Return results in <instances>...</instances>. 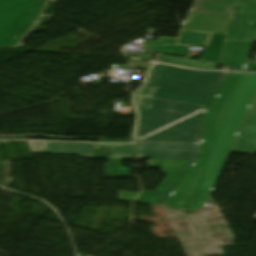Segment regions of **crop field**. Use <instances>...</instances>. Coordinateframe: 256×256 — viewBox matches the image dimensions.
I'll list each match as a JSON object with an SVG mask.
<instances>
[{
	"label": "crop field",
	"instance_id": "18",
	"mask_svg": "<svg viewBox=\"0 0 256 256\" xmlns=\"http://www.w3.org/2000/svg\"><path fill=\"white\" fill-rule=\"evenodd\" d=\"M0 143H3V142H0Z\"/></svg>",
	"mask_w": 256,
	"mask_h": 256
},
{
	"label": "crop field",
	"instance_id": "2",
	"mask_svg": "<svg viewBox=\"0 0 256 256\" xmlns=\"http://www.w3.org/2000/svg\"><path fill=\"white\" fill-rule=\"evenodd\" d=\"M256 88V73H230L205 110L201 155L168 200L195 195L214 185Z\"/></svg>",
	"mask_w": 256,
	"mask_h": 256
},
{
	"label": "crop field",
	"instance_id": "7",
	"mask_svg": "<svg viewBox=\"0 0 256 256\" xmlns=\"http://www.w3.org/2000/svg\"><path fill=\"white\" fill-rule=\"evenodd\" d=\"M256 151V95L242 124L231 152L253 154Z\"/></svg>",
	"mask_w": 256,
	"mask_h": 256
},
{
	"label": "crop field",
	"instance_id": "1",
	"mask_svg": "<svg viewBox=\"0 0 256 256\" xmlns=\"http://www.w3.org/2000/svg\"><path fill=\"white\" fill-rule=\"evenodd\" d=\"M227 74L154 65L145 85L156 88L154 96L138 97L137 139L199 141L202 109Z\"/></svg>",
	"mask_w": 256,
	"mask_h": 256
},
{
	"label": "crop field",
	"instance_id": "16",
	"mask_svg": "<svg viewBox=\"0 0 256 256\" xmlns=\"http://www.w3.org/2000/svg\"><path fill=\"white\" fill-rule=\"evenodd\" d=\"M29 143H30L32 152L38 153L44 142H29Z\"/></svg>",
	"mask_w": 256,
	"mask_h": 256
},
{
	"label": "crop field",
	"instance_id": "6",
	"mask_svg": "<svg viewBox=\"0 0 256 256\" xmlns=\"http://www.w3.org/2000/svg\"><path fill=\"white\" fill-rule=\"evenodd\" d=\"M245 12H234L226 40L256 41V0H238Z\"/></svg>",
	"mask_w": 256,
	"mask_h": 256
},
{
	"label": "crop field",
	"instance_id": "3",
	"mask_svg": "<svg viewBox=\"0 0 256 256\" xmlns=\"http://www.w3.org/2000/svg\"><path fill=\"white\" fill-rule=\"evenodd\" d=\"M0 0V48L17 47L40 18L48 0Z\"/></svg>",
	"mask_w": 256,
	"mask_h": 256
},
{
	"label": "crop field",
	"instance_id": "15",
	"mask_svg": "<svg viewBox=\"0 0 256 256\" xmlns=\"http://www.w3.org/2000/svg\"><path fill=\"white\" fill-rule=\"evenodd\" d=\"M137 193L119 192L118 201L132 202Z\"/></svg>",
	"mask_w": 256,
	"mask_h": 256
},
{
	"label": "crop field",
	"instance_id": "17",
	"mask_svg": "<svg viewBox=\"0 0 256 256\" xmlns=\"http://www.w3.org/2000/svg\"><path fill=\"white\" fill-rule=\"evenodd\" d=\"M254 219H256V214L254 215V217H253Z\"/></svg>",
	"mask_w": 256,
	"mask_h": 256
},
{
	"label": "crop field",
	"instance_id": "9",
	"mask_svg": "<svg viewBox=\"0 0 256 256\" xmlns=\"http://www.w3.org/2000/svg\"><path fill=\"white\" fill-rule=\"evenodd\" d=\"M213 188L214 186L193 197L184 198L180 201H166L163 206L174 209H189L197 211L208 200Z\"/></svg>",
	"mask_w": 256,
	"mask_h": 256
},
{
	"label": "crop field",
	"instance_id": "4",
	"mask_svg": "<svg viewBox=\"0 0 256 256\" xmlns=\"http://www.w3.org/2000/svg\"><path fill=\"white\" fill-rule=\"evenodd\" d=\"M193 161L151 159L145 168L161 166L168 174L154 192H142L135 202L162 205Z\"/></svg>",
	"mask_w": 256,
	"mask_h": 256
},
{
	"label": "crop field",
	"instance_id": "13",
	"mask_svg": "<svg viewBox=\"0 0 256 256\" xmlns=\"http://www.w3.org/2000/svg\"><path fill=\"white\" fill-rule=\"evenodd\" d=\"M9 178L8 161H0V185L7 186Z\"/></svg>",
	"mask_w": 256,
	"mask_h": 256
},
{
	"label": "crop field",
	"instance_id": "8",
	"mask_svg": "<svg viewBox=\"0 0 256 256\" xmlns=\"http://www.w3.org/2000/svg\"><path fill=\"white\" fill-rule=\"evenodd\" d=\"M95 150H100V145L45 142L39 153L70 154L79 155L80 158L94 159Z\"/></svg>",
	"mask_w": 256,
	"mask_h": 256
},
{
	"label": "crop field",
	"instance_id": "12",
	"mask_svg": "<svg viewBox=\"0 0 256 256\" xmlns=\"http://www.w3.org/2000/svg\"><path fill=\"white\" fill-rule=\"evenodd\" d=\"M109 151L108 159L134 158L133 145H103Z\"/></svg>",
	"mask_w": 256,
	"mask_h": 256
},
{
	"label": "crop field",
	"instance_id": "11",
	"mask_svg": "<svg viewBox=\"0 0 256 256\" xmlns=\"http://www.w3.org/2000/svg\"><path fill=\"white\" fill-rule=\"evenodd\" d=\"M121 160H134V159H121ZM121 160H108L104 164L106 178H121V177H134L130 176V170L121 167Z\"/></svg>",
	"mask_w": 256,
	"mask_h": 256
},
{
	"label": "crop field",
	"instance_id": "14",
	"mask_svg": "<svg viewBox=\"0 0 256 256\" xmlns=\"http://www.w3.org/2000/svg\"><path fill=\"white\" fill-rule=\"evenodd\" d=\"M144 87V86H143ZM154 90L153 88H147V87H144L142 88L140 91H138L136 94H135V100H136V105L138 107V109L140 110L139 106H138V98L137 96L138 95H141V96H147V97H152L153 96V93H154Z\"/></svg>",
	"mask_w": 256,
	"mask_h": 256
},
{
	"label": "crop field",
	"instance_id": "5",
	"mask_svg": "<svg viewBox=\"0 0 256 256\" xmlns=\"http://www.w3.org/2000/svg\"><path fill=\"white\" fill-rule=\"evenodd\" d=\"M200 143L137 141V158L195 160Z\"/></svg>",
	"mask_w": 256,
	"mask_h": 256
},
{
	"label": "crop field",
	"instance_id": "10",
	"mask_svg": "<svg viewBox=\"0 0 256 256\" xmlns=\"http://www.w3.org/2000/svg\"><path fill=\"white\" fill-rule=\"evenodd\" d=\"M153 61L179 65L184 67H190V68H196V69H206V70H214L217 68V65H218L214 63L176 58V57H170V56H163V55L155 56Z\"/></svg>",
	"mask_w": 256,
	"mask_h": 256
}]
</instances>
